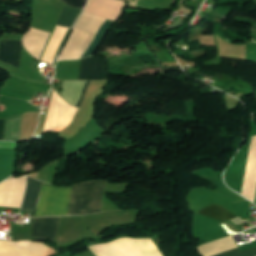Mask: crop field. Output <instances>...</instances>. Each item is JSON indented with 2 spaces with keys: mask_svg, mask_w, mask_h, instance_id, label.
I'll use <instances>...</instances> for the list:
<instances>
[{
  "mask_svg": "<svg viewBox=\"0 0 256 256\" xmlns=\"http://www.w3.org/2000/svg\"><path fill=\"white\" fill-rule=\"evenodd\" d=\"M105 181L79 183L68 188H59L27 177V188L21 210L37 212L35 217L92 214L101 212V201Z\"/></svg>",
  "mask_w": 256,
  "mask_h": 256,
  "instance_id": "crop-field-1",
  "label": "crop field"
},
{
  "mask_svg": "<svg viewBox=\"0 0 256 256\" xmlns=\"http://www.w3.org/2000/svg\"><path fill=\"white\" fill-rule=\"evenodd\" d=\"M102 21L103 18L83 12L64 45L58 60L82 58ZM113 23L114 21L104 19L83 58L93 54L95 49L99 46L104 34Z\"/></svg>",
  "mask_w": 256,
  "mask_h": 256,
  "instance_id": "crop-field-2",
  "label": "crop field"
},
{
  "mask_svg": "<svg viewBox=\"0 0 256 256\" xmlns=\"http://www.w3.org/2000/svg\"><path fill=\"white\" fill-rule=\"evenodd\" d=\"M88 249L96 256H160L150 239L121 238Z\"/></svg>",
  "mask_w": 256,
  "mask_h": 256,
  "instance_id": "crop-field-3",
  "label": "crop field"
},
{
  "mask_svg": "<svg viewBox=\"0 0 256 256\" xmlns=\"http://www.w3.org/2000/svg\"><path fill=\"white\" fill-rule=\"evenodd\" d=\"M108 61L89 57L81 60L80 80H100L107 79Z\"/></svg>",
  "mask_w": 256,
  "mask_h": 256,
  "instance_id": "crop-field-4",
  "label": "crop field"
},
{
  "mask_svg": "<svg viewBox=\"0 0 256 256\" xmlns=\"http://www.w3.org/2000/svg\"><path fill=\"white\" fill-rule=\"evenodd\" d=\"M49 36L50 33L31 27L23 38V45L30 54L40 59L42 49Z\"/></svg>",
  "mask_w": 256,
  "mask_h": 256,
  "instance_id": "crop-field-5",
  "label": "crop field"
},
{
  "mask_svg": "<svg viewBox=\"0 0 256 256\" xmlns=\"http://www.w3.org/2000/svg\"><path fill=\"white\" fill-rule=\"evenodd\" d=\"M60 217H39L35 220L32 238H45L53 241Z\"/></svg>",
  "mask_w": 256,
  "mask_h": 256,
  "instance_id": "crop-field-6",
  "label": "crop field"
},
{
  "mask_svg": "<svg viewBox=\"0 0 256 256\" xmlns=\"http://www.w3.org/2000/svg\"><path fill=\"white\" fill-rule=\"evenodd\" d=\"M21 49V41H1L0 61H3L19 69Z\"/></svg>",
  "mask_w": 256,
  "mask_h": 256,
  "instance_id": "crop-field-7",
  "label": "crop field"
},
{
  "mask_svg": "<svg viewBox=\"0 0 256 256\" xmlns=\"http://www.w3.org/2000/svg\"><path fill=\"white\" fill-rule=\"evenodd\" d=\"M198 214L216 219L221 222H225L229 219L236 218V216H234L228 210H226L225 208H223L219 205H216V204H213V205L199 211Z\"/></svg>",
  "mask_w": 256,
  "mask_h": 256,
  "instance_id": "crop-field-8",
  "label": "crop field"
},
{
  "mask_svg": "<svg viewBox=\"0 0 256 256\" xmlns=\"http://www.w3.org/2000/svg\"><path fill=\"white\" fill-rule=\"evenodd\" d=\"M80 11L63 8L55 25L71 28Z\"/></svg>",
  "mask_w": 256,
  "mask_h": 256,
  "instance_id": "crop-field-9",
  "label": "crop field"
},
{
  "mask_svg": "<svg viewBox=\"0 0 256 256\" xmlns=\"http://www.w3.org/2000/svg\"><path fill=\"white\" fill-rule=\"evenodd\" d=\"M214 256H256V247L239 253L238 249H233L224 253H220Z\"/></svg>",
  "mask_w": 256,
  "mask_h": 256,
  "instance_id": "crop-field-10",
  "label": "crop field"
},
{
  "mask_svg": "<svg viewBox=\"0 0 256 256\" xmlns=\"http://www.w3.org/2000/svg\"><path fill=\"white\" fill-rule=\"evenodd\" d=\"M68 6L80 9L86 4V0H62Z\"/></svg>",
  "mask_w": 256,
  "mask_h": 256,
  "instance_id": "crop-field-11",
  "label": "crop field"
},
{
  "mask_svg": "<svg viewBox=\"0 0 256 256\" xmlns=\"http://www.w3.org/2000/svg\"><path fill=\"white\" fill-rule=\"evenodd\" d=\"M89 82H90V81H87V82H86L85 87H84V90H83V92H82V95H81V97H80V99H79V101H78L76 107H79V106H80V104H81V102H82V100H83V98H84V95H85V93H86V90H87V87H88V85H89Z\"/></svg>",
  "mask_w": 256,
  "mask_h": 256,
  "instance_id": "crop-field-12",
  "label": "crop field"
},
{
  "mask_svg": "<svg viewBox=\"0 0 256 256\" xmlns=\"http://www.w3.org/2000/svg\"><path fill=\"white\" fill-rule=\"evenodd\" d=\"M5 119L0 120V140H3Z\"/></svg>",
  "mask_w": 256,
  "mask_h": 256,
  "instance_id": "crop-field-13",
  "label": "crop field"
},
{
  "mask_svg": "<svg viewBox=\"0 0 256 256\" xmlns=\"http://www.w3.org/2000/svg\"><path fill=\"white\" fill-rule=\"evenodd\" d=\"M251 31H256V25L253 26V28L251 29Z\"/></svg>",
  "mask_w": 256,
  "mask_h": 256,
  "instance_id": "crop-field-14",
  "label": "crop field"
},
{
  "mask_svg": "<svg viewBox=\"0 0 256 256\" xmlns=\"http://www.w3.org/2000/svg\"><path fill=\"white\" fill-rule=\"evenodd\" d=\"M253 230H255V229H252L251 231H253Z\"/></svg>",
  "mask_w": 256,
  "mask_h": 256,
  "instance_id": "crop-field-15",
  "label": "crop field"
}]
</instances>
